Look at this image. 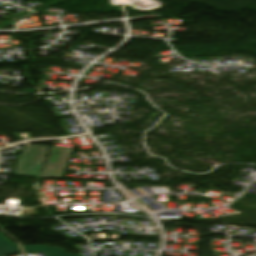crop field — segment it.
Returning <instances> with one entry per match:
<instances>
[{"label":"crop field","mask_w":256,"mask_h":256,"mask_svg":"<svg viewBox=\"0 0 256 256\" xmlns=\"http://www.w3.org/2000/svg\"><path fill=\"white\" fill-rule=\"evenodd\" d=\"M26 253L44 252L46 256H79L66 253L59 247H48L47 245L23 246Z\"/></svg>","instance_id":"crop-field-2"},{"label":"crop field","mask_w":256,"mask_h":256,"mask_svg":"<svg viewBox=\"0 0 256 256\" xmlns=\"http://www.w3.org/2000/svg\"><path fill=\"white\" fill-rule=\"evenodd\" d=\"M48 148L26 146L13 174L61 179L73 149L52 147L45 158Z\"/></svg>","instance_id":"crop-field-1"},{"label":"crop field","mask_w":256,"mask_h":256,"mask_svg":"<svg viewBox=\"0 0 256 256\" xmlns=\"http://www.w3.org/2000/svg\"><path fill=\"white\" fill-rule=\"evenodd\" d=\"M22 253L18 244L10 241L0 232V256H9Z\"/></svg>","instance_id":"crop-field-3"}]
</instances>
